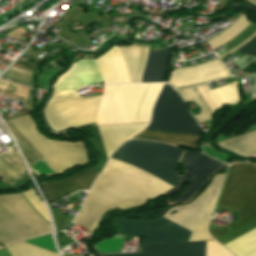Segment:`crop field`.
Returning <instances> with one entry per match:
<instances>
[{
	"instance_id": "92a150f3",
	"label": "crop field",
	"mask_w": 256,
	"mask_h": 256,
	"mask_svg": "<svg viewBox=\"0 0 256 256\" xmlns=\"http://www.w3.org/2000/svg\"><path fill=\"white\" fill-rule=\"evenodd\" d=\"M206 256H233L215 241L207 242Z\"/></svg>"
},
{
	"instance_id": "f4fd0767",
	"label": "crop field",
	"mask_w": 256,
	"mask_h": 256,
	"mask_svg": "<svg viewBox=\"0 0 256 256\" xmlns=\"http://www.w3.org/2000/svg\"><path fill=\"white\" fill-rule=\"evenodd\" d=\"M148 123L98 126L102 137L107 158L110 153L125 140L142 131ZM98 172L90 169L87 172L76 174L74 177L44 183V191L47 202L53 203L57 199L67 196L77 190H88Z\"/></svg>"
},
{
	"instance_id": "d1516ede",
	"label": "crop field",
	"mask_w": 256,
	"mask_h": 256,
	"mask_svg": "<svg viewBox=\"0 0 256 256\" xmlns=\"http://www.w3.org/2000/svg\"><path fill=\"white\" fill-rule=\"evenodd\" d=\"M131 82H141V75L147 59L148 48L137 46L121 47Z\"/></svg>"
},
{
	"instance_id": "730fd06b",
	"label": "crop field",
	"mask_w": 256,
	"mask_h": 256,
	"mask_svg": "<svg viewBox=\"0 0 256 256\" xmlns=\"http://www.w3.org/2000/svg\"><path fill=\"white\" fill-rule=\"evenodd\" d=\"M249 1L256 5V0H249Z\"/></svg>"
},
{
	"instance_id": "d9b57169",
	"label": "crop field",
	"mask_w": 256,
	"mask_h": 256,
	"mask_svg": "<svg viewBox=\"0 0 256 256\" xmlns=\"http://www.w3.org/2000/svg\"><path fill=\"white\" fill-rule=\"evenodd\" d=\"M224 246L236 256L254 255L256 253V228Z\"/></svg>"
},
{
	"instance_id": "ac0d7876",
	"label": "crop field",
	"mask_w": 256,
	"mask_h": 256,
	"mask_svg": "<svg viewBox=\"0 0 256 256\" xmlns=\"http://www.w3.org/2000/svg\"><path fill=\"white\" fill-rule=\"evenodd\" d=\"M182 152L183 149L160 143L129 140L111 157L174 187L179 184L176 162ZM123 162L109 159L81 209L84 212L73 222L93 231L106 210L136 207L172 188Z\"/></svg>"
},
{
	"instance_id": "a9b5d70f",
	"label": "crop field",
	"mask_w": 256,
	"mask_h": 256,
	"mask_svg": "<svg viewBox=\"0 0 256 256\" xmlns=\"http://www.w3.org/2000/svg\"><path fill=\"white\" fill-rule=\"evenodd\" d=\"M255 35H256V32H255L254 34H252L250 37H248L247 39H245L243 42H241L239 45H237L236 47H234L233 49H231V50L227 51L226 53L222 54L221 56H219L220 59L223 58V57H225V56H227L228 54H230V53L236 51L237 49H239L243 44H245L247 41H249V40H250L251 38H253Z\"/></svg>"
},
{
	"instance_id": "412701ff",
	"label": "crop field",
	"mask_w": 256,
	"mask_h": 256,
	"mask_svg": "<svg viewBox=\"0 0 256 256\" xmlns=\"http://www.w3.org/2000/svg\"><path fill=\"white\" fill-rule=\"evenodd\" d=\"M8 122L31 148L54 168L57 174L72 165L87 162L86 150L84 151L80 143H64L43 139L35 131L34 125L26 115L15 117Z\"/></svg>"
},
{
	"instance_id": "28ad6ade",
	"label": "crop field",
	"mask_w": 256,
	"mask_h": 256,
	"mask_svg": "<svg viewBox=\"0 0 256 256\" xmlns=\"http://www.w3.org/2000/svg\"><path fill=\"white\" fill-rule=\"evenodd\" d=\"M205 241L143 245L141 253L102 256H204Z\"/></svg>"
},
{
	"instance_id": "dafd665d",
	"label": "crop field",
	"mask_w": 256,
	"mask_h": 256,
	"mask_svg": "<svg viewBox=\"0 0 256 256\" xmlns=\"http://www.w3.org/2000/svg\"><path fill=\"white\" fill-rule=\"evenodd\" d=\"M196 89L198 90V92L200 93V95L202 96L204 102L207 104V106L210 108V110L212 111V113H214L217 109L215 107V105L213 104V102L211 101L210 97L208 96L207 92L205 91V89L202 87V85L200 86H196Z\"/></svg>"
},
{
	"instance_id": "4a817a6b",
	"label": "crop field",
	"mask_w": 256,
	"mask_h": 256,
	"mask_svg": "<svg viewBox=\"0 0 256 256\" xmlns=\"http://www.w3.org/2000/svg\"><path fill=\"white\" fill-rule=\"evenodd\" d=\"M251 22H249L245 16L238 18L231 26H229L224 32L215 36L211 40L207 41L210 45L215 48L221 46L223 43L235 37L244 28H246Z\"/></svg>"
},
{
	"instance_id": "dd49c442",
	"label": "crop field",
	"mask_w": 256,
	"mask_h": 256,
	"mask_svg": "<svg viewBox=\"0 0 256 256\" xmlns=\"http://www.w3.org/2000/svg\"><path fill=\"white\" fill-rule=\"evenodd\" d=\"M146 129L200 135L183 100L166 84L155 102L152 120Z\"/></svg>"
},
{
	"instance_id": "214f88e0",
	"label": "crop field",
	"mask_w": 256,
	"mask_h": 256,
	"mask_svg": "<svg viewBox=\"0 0 256 256\" xmlns=\"http://www.w3.org/2000/svg\"><path fill=\"white\" fill-rule=\"evenodd\" d=\"M25 198L30 202V204L36 209V211L41 214L48 222L49 218L45 209V206L41 202V200L37 197V195L33 192V190H29L25 193H22Z\"/></svg>"
},
{
	"instance_id": "cbeb9de0",
	"label": "crop field",
	"mask_w": 256,
	"mask_h": 256,
	"mask_svg": "<svg viewBox=\"0 0 256 256\" xmlns=\"http://www.w3.org/2000/svg\"><path fill=\"white\" fill-rule=\"evenodd\" d=\"M133 138L160 141L196 149L199 136L144 130Z\"/></svg>"
},
{
	"instance_id": "4177f3b9",
	"label": "crop field",
	"mask_w": 256,
	"mask_h": 256,
	"mask_svg": "<svg viewBox=\"0 0 256 256\" xmlns=\"http://www.w3.org/2000/svg\"><path fill=\"white\" fill-rule=\"evenodd\" d=\"M246 55H251V56H256V47L254 49H252L249 53H247Z\"/></svg>"
},
{
	"instance_id": "e52e79f7",
	"label": "crop field",
	"mask_w": 256,
	"mask_h": 256,
	"mask_svg": "<svg viewBox=\"0 0 256 256\" xmlns=\"http://www.w3.org/2000/svg\"><path fill=\"white\" fill-rule=\"evenodd\" d=\"M224 175H216L207 191L188 206L170 209L163 217L192 232L188 241L210 240L206 225ZM176 210L178 213L167 215Z\"/></svg>"
},
{
	"instance_id": "eef30255",
	"label": "crop field",
	"mask_w": 256,
	"mask_h": 256,
	"mask_svg": "<svg viewBox=\"0 0 256 256\" xmlns=\"http://www.w3.org/2000/svg\"><path fill=\"white\" fill-rule=\"evenodd\" d=\"M254 73H256V69H255Z\"/></svg>"
},
{
	"instance_id": "00972430",
	"label": "crop field",
	"mask_w": 256,
	"mask_h": 256,
	"mask_svg": "<svg viewBox=\"0 0 256 256\" xmlns=\"http://www.w3.org/2000/svg\"><path fill=\"white\" fill-rule=\"evenodd\" d=\"M256 46V36L251 39L249 42H247L245 45H243L239 50L240 53H242L243 55L245 53H247L248 51H250L252 48H254Z\"/></svg>"
},
{
	"instance_id": "5a996713",
	"label": "crop field",
	"mask_w": 256,
	"mask_h": 256,
	"mask_svg": "<svg viewBox=\"0 0 256 256\" xmlns=\"http://www.w3.org/2000/svg\"><path fill=\"white\" fill-rule=\"evenodd\" d=\"M131 222L115 218L121 229L119 233L145 237L143 244L187 241L191 234L164 218L152 222Z\"/></svg>"
},
{
	"instance_id": "22f410ed",
	"label": "crop field",
	"mask_w": 256,
	"mask_h": 256,
	"mask_svg": "<svg viewBox=\"0 0 256 256\" xmlns=\"http://www.w3.org/2000/svg\"><path fill=\"white\" fill-rule=\"evenodd\" d=\"M169 51L159 50L149 52L142 82H162L166 70Z\"/></svg>"
},
{
	"instance_id": "3316defc",
	"label": "crop field",
	"mask_w": 256,
	"mask_h": 256,
	"mask_svg": "<svg viewBox=\"0 0 256 256\" xmlns=\"http://www.w3.org/2000/svg\"><path fill=\"white\" fill-rule=\"evenodd\" d=\"M230 76L219 58L195 66L175 69L167 81L174 88L188 87Z\"/></svg>"
},
{
	"instance_id": "d8731c3e",
	"label": "crop field",
	"mask_w": 256,
	"mask_h": 256,
	"mask_svg": "<svg viewBox=\"0 0 256 256\" xmlns=\"http://www.w3.org/2000/svg\"><path fill=\"white\" fill-rule=\"evenodd\" d=\"M181 164L185 172L184 176L179 178L180 184L163 195L174 194L178 192L191 178V182L183 194L170 202L187 201L196 191H198L207 177L214 171L222 167V163L217 162L204 154L185 151Z\"/></svg>"
},
{
	"instance_id": "8a807250",
	"label": "crop field",
	"mask_w": 256,
	"mask_h": 256,
	"mask_svg": "<svg viewBox=\"0 0 256 256\" xmlns=\"http://www.w3.org/2000/svg\"><path fill=\"white\" fill-rule=\"evenodd\" d=\"M104 84L130 83L119 46L96 59ZM95 60H81L73 64L59 79L99 72ZM100 73L56 81V90L78 89L100 82ZM161 83L104 86L103 97L81 99L74 90L55 91L46 109L99 99L102 97L96 125L149 122L153 102ZM93 100L44 111V115L100 102ZM99 104L76 108L44 116L52 129L58 131L78 125L94 123Z\"/></svg>"
},
{
	"instance_id": "733c2abd",
	"label": "crop field",
	"mask_w": 256,
	"mask_h": 256,
	"mask_svg": "<svg viewBox=\"0 0 256 256\" xmlns=\"http://www.w3.org/2000/svg\"><path fill=\"white\" fill-rule=\"evenodd\" d=\"M4 249L10 256H59L25 242ZM4 249L0 250V256H9Z\"/></svg>"
},
{
	"instance_id": "34b2d1b8",
	"label": "crop field",
	"mask_w": 256,
	"mask_h": 256,
	"mask_svg": "<svg viewBox=\"0 0 256 256\" xmlns=\"http://www.w3.org/2000/svg\"><path fill=\"white\" fill-rule=\"evenodd\" d=\"M238 213L239 219L221 228L209 225L210 235L223 245L256 227V167L230 165L215 207Z\"/></svg>"
},
{
	"instance_id": "bc2a9ffb",
	"label": "crop field",
	"mask_w": 256,
	"mask_h": 256,
	"mask_svg": "<svg viewBox=\"0 0 256 256\" xmlns=\"http://www.w3.org/2000/svg\"><path fill=\"white\" fill-rule=\"evenodd\" d=\"M176 91L182 96L185 102L193 101L201 108L200 114L195 115V118L198 120L199 123L209 120L211 118L212 114L210 110L203 102L195 87L183 88Z\"/></svg>"
},
{
	"instance_id": "5142ce71",
	"label": "crop field",
	"mask_w": 256,
	"mask_h": 256,
	"mask_svg": "<svg viewBox=\"0 0 256 256\" xmlns=\"http://www.w3.org/2000/svg\"><path fill=\"white\" fill-rule=\"evenodd\" d=\"M203 87L208 92L217 109L224 105L237 104L239 101L237 82L228 84L212 91H210L207 84H203Z\"/></svg>"
}]
</instances>
